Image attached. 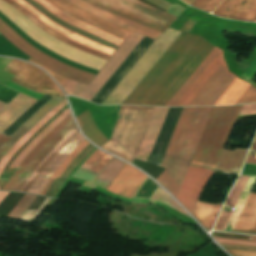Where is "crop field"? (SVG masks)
<instances>
[{
    "label": "crop field",
    "mask_w": 256,
    "mask_h": 256,
    "mask_svg": "<svg viewBox=\"0 0 256 256\" xmlns=\"http://www.w3.org/2000/svg\"><path fill=\"white\" fill-rule=\"evenodd\" d=\"M214 47L182 32L123 104L166 106Z\"/></svg>",
    "instance_id": "8a807250"
},
{
    "label": "crop field",
    "mask_w": 256,
    "mask_h": 256,
    "mask_svg": "<svg viewBox=\"0 0 256 256\" xmlns=\"http://www.w3.org/2000/svg\"><path fill=\"white\" fill-rule=\"evenodd\" d=\"M213 107L184 108L161 167L167 168L156 180L176 197L186 170Z\"/></svg>",
    "instance_id": "ac0d7876"
},
{
    "label": "crop field",
    "mask_w": 256,
    "mask_h": 256,
    "mask_svg": "<svg viewBox=\"0 0 256 256\" xmlns=\"http://www.w3.org/2000/svg\"><path fill=\"white\" fill-rule=\"evenodd\" d=\"M236 78L215 47L167 106L214 105Z\"/></svg>",
    "instance_id": "34b2d1b8"
},
{
    "label": "crop field",
    "mask_w": 256,
    "mask_h": 256,
    "mask_svg": "<svg viewBox=\"0 0 256 256\" xmlns=\"http://www.w3.org/2000/svg\"><path fill=\"white\" fill-rule=\"evenodd\" d=\"M242 105L214 107L192 160L217 165L227 136ZM256 114V105H243L239 115ZM192 161V165L215 169V165Z\"/></svg>",
    "instance_id": "412701ff"
},
{
    "label": "crop field",
    "mask_w": 256,
    "mask_h": 256,
    "mask_svg": "<svg viewBox=\"0 0 256 256\" xmlns=\"http://www.w3.org/2000/svg\"><path fill=\"white\" fill-rule=\"evenodd\" d=\"M154 107L121 106L110 140L101 148L132 163Z\"/></svg>",
    "instance_id": "f4fd0767"
},
{
    "label": "crop field",
    "mask_w": 256,
    "mask_h": 256,
    "mask_svg": "<svg viewBox=\"0 0 256 256\" xmlns=\"http://www.w3.org/2000/svg\"><path fill=\"white\" fill-rule=\"evenodd\" d=\"M0 12L34 41L78 64L100 70L107 62L53 38L3 0H0Z\"/></svg>",
    "instance_id": "dd49c442"
},
{
    "label": "crop field",
    "mask_w": 256,
    "mask_h": 256,
    "mask_svg": "<svg viewBox=\"0 0 256 256\" xmlns=\"http://www.w3.org/2000/svg\"><path fill=\"white\" fill-rule=\"evenodd\" d=\"M94 6L163 32L176 19L139 0H84Z\"/></svg>",
    "instance_id": "e52e79f7"
},
{
    "label": "crop field",
    "mask_w": 256,
    "mask_h": 256,
    "mask_svg": "<svg viewBox=\"0 0 256 256\" xmlns=\"http://www.w3.org/2000/svg\"><path fill=\"white\" fill-rule=\"evenodd\" d=\"M142 38L143 36L133 32L110 58L106 65L99 71L89 86L69 80L63 87L66 94L91 101L127 56L132 52V50L137 46V44L142 40Z\"/></svg>",
    "instance_id": "d8731c3e"
},
{
    "label": "crop field",
    "mask_w": 256,
    "mask_h": 256,
    "mask_svg": "<svg viewBox=\"0 0 256 256\" xmlns=\"http://www.w3.org/2000/svg\"><path fill=\"white\" fill-rule=\"evenodd\" d=\"M0 33L14 46L20 49L29 57L38 61L45 67L53 70L54 72L71 78L75 81L89 85L92 79L95 77L94 74H89L82 72L80 70L74 69L64 63H61L48 55L38 51L29 43L24 41L13 29H11L5 22L0 19Z\"/></svg>",
    "instance_id": "5a996713"
},
{
    "label": "crop field",
    "mask_w": 256,
    "mask_h": 256,
    "mask_svg": "<svg viewBox=\"0 0 256 256\" xmlns=\"http://www.w3.org/2000/svg\"><path fill=\"white\" fill-rule=\"evenodd\" d=\"M76 132H78V130L72 120L59 134L50 140L29 163L15 186L12 188V191L26 192L46 164Z\"/></svg>",
    "instance_id": "3316defc"
},
{
    "label": "crop field",
    "mask_w": 256,
    "mask_h": 256,
    "mask_svg": "<svg viewBox=\"0 0 256 256\" xmlns=\"http://www.w3.org/2000/svg\"><path fill=\"white\" fill-rule=\"evenodd\" d=\"M220 1L221 0H196L193 6L210 12ZM213 13L227 18L253 22L256 16V0H224Z\"/></svg>",
    "instance_id": "28ad6ade"
},
{
    "label": "crop field",
    "mask_w": 256,
    "mask_h": 256,
    "mask_svg": "<svg viewBox=\"0 0 256 256\" xmlns=\"http://www.w3.org/2000/svg\"><path fill=\"white\" fill-rule=\"evenodd\" d=\"M213 170L190 165L176 199L192 214L198 197Z\"/></svg>",
    "instance_id": "d1516ede"
},
{
    "label": "crop field",
    "mask_w": 256,
    "mask_h": 256,
    "mask_svg": "<svg viewBox=\"0 0 256 256\" xmlns=\"http://www.w3.org/2000/svg\"><path fill=\"white\" fill-rule=\"evenodd\" d=\"M15 2L16 4L20 5L22 8H24L28 13H30L34 18H36L40 23H42L44 26L54 30L55 32L59 33L60 35L79 43L83 46H86L90 49L102 52L104 54L112 56L115 50L108 48L102 44H99L95 41H92L88 38H85L81 35H78L65 27L59 25L58 23L52 21L48 17H46L44 14H42L39 10H37L34 6L30 5L24 0H11Z\"/></svg>",
    "instance_id": "22f410ed"
},
{
    "label": "crop field",
    "mask_w": 256,
    "mask_h": 256,
    "mask_svg": "<svg viewBox=\"0 0 256 256\" xmlns=\"http://www.w3.org/2000/svg\"><path fill=\"white\" fill-rule=\"evenodd\" d=\"M36 3H38L40 6H42L44 9H46L48 12L52 13L53 15H55L56 17L64 20L65 22L78 27L94 36H97L105 41H108L116 46H120L124 39L115 36L109 32H106L104 30H101L97 27H94L76 17H73L69 14H67L66 12H64L63 10L57 8L55 5H53L52 3L48 2L47 0H34Z\"/></svg>",
    "instance_id": "cbeb9de0"
},
{
    "label": "crop field",
    "mask_w": 256,
    "mask_h": 256,
    "mask_svg": "<svg viewBox=\"0 0 256 256\" xmlns=\"http://www.w3.org/2000/svg\"><path fill=\"white\" fill-rule=\"evenodd\" d=\"M146 177L135 168L126 164L111 182L107 191L132 198Z\"/></svg>",
    "instance_id": "5142ce71"
},
{
    "label": "crop field",
    "mask_w": 256,
    "mask_h": 256,
    "mask_svg": "<svg viewBox=\"0 0 256 256\" xmlns=\"http://www.w3.org/2000/svg\"><path fill=\"white\" fill-rule=\"evenodd\" d=\"M67 1L86 10L90 14L96 15L104 20L118 24V25L123 26L127 29H130L132 31H135L140 34L151 37L153 39H155L157 36H159L161 34V32H159V31L145 27L143 25H140L138 23H135L133 21H130L128 19H125V18L115 15L113 13H110L108 11H105L101 8L93 7L82 0H67Z\"/></svg>",
    "instance_id": "d9b57169"
},
{
    "label": "crop field",
    "mask_w": 256,
    "mask_h": 256,
    "mask_svg": "<svg viewBox=\"0 0 256 256\" xmlns=\"http://www.w3.org/2000/svg\"><path fill=\"white\" fill-rule=\"evenodd\" d=\"M3 70L15 75L11 81L32 91H34L42 78L46 75L41 70L23 61L17 60H13Z\"/></svg>",
    "instance_id": "733c2abd"
},
{
    "label": "crop field",
    "mask_w": 256,
    "mask_h": 256,
    "mask_svg": "<svg viewBox=\"0 0 256 256\" xmlns=\"http://www.w3.org/2000/svg\"><path fill=\"white\" fill-rule=\"evenodd\" d=\"M84 138L79 134L74 136L69 142L57 153V155L50 161V163L44 168L41 174L37 177L34 183L28 190L29 193L39 194L43 187L48 182L51 175L65 159V157L83 140Z\"/></svg>",
    "instance_id": "4a817a6b"
},
{
    "label": "crop field",
    "mask_w": 256,
    "mask_h": 256,
    "mask_svg": "<svg viewBox=\"0 0 256 256\" xmlns=\"http://www.w3.org/2000/svg\"><path fill=\"white\" fill-rule=\"evenodd\" d=\"M49 1H51L53 4H55L57 7L61 8V9H63L64 11H66L82 20H85L99 28L109 31L115 35H118L124 39H126L132 33V31H130V30H127L118 25L109 23V22L101 20L93 15H90L87 12L73 6L72 4L68 3L65 0H49Z\"/></svg>",
    "instance_id": "bc2a9ffb"
},
{
    "label": "crop field",
    "mask_w": 256,
    "mask_h": 256,
    "mask_svg": "<svg viewBox=\"0 0 256 256\" xmlns=\"http://www.w3.org/2000/svg\"><path fill=\"white\" fill-rule=\"evenodd\" d=\"M63 99L58 97H53L45 105H43L24 125H22L14 134L7 138L0 135V161L6 154V152L23 136L25 135L31 127L41 120L50 110H52L59 102Z\"/></svg>",
    "instance_id": "214f88e0"
},
{
    "label": "crop field",
    "mask_w": 256,
    "mask_h": 256,
    "mask_svg": "<svg viewBox=\"0 0 256 256\" xmlns=\"http://www.w3.org/2000/svg\"><path fill=\"white\" fill-rule=\"evenodd\" d=\"M169 108L155 107L151 122L148 126V129L145 133L139 151L136 155V159L146 161L153 144L157 138V135L160 131V128L164 122L167 111Z\"/></svg>",
    "instance_id": "92a150f3"
},
{
    "label": "crop field",
    "mask_w": 256,
    "mask_h": 256,
    "mask_svg": "<svg viewBox=\"0 0 256 256\" xmlns=\"http://www.w3.org/2000/svg\"><path fill=\"white\" fill-rule=\"evenodd\" d=\"M36 100L19 94L7 106L0 102V133L20 117Z\"/></svg>",
    "instance_id": "dafd665d"
},
{
    "label": "crop field",
    "mask_w": 256,
    "mask_h": 256,
    "mask_svg": "<svg viewBox=\"0 0 256 256\" xmlns=\"http://www.w3.org/2000/svg\"><path fill=\"white\" fill-rule=\"evenodd\" d=\"M232 231L256 233V193H250Z\"/></svg>",
    "instance_id": "00972430"
},
{
    "label": "crop field",
    "mask_w": 256,
    "mask_h": 256,
    "mask_svg": "<svg viewBox=\"0 0 256 256\" xmlns=\"http://www.w3.org/2000/svg\"><path fill=\"white\" fill-rule=\"evenodd\" d=\"M72 120L70 114L57 126L55 127L47 136H45L35 147L34 149L24 158L21 165L16 169L13 176L3 188V190H11L13 185L18 180L24 168L28 165V163L35 157V155L43 148V146L53 137L55 136L65 125H67Z\"/></svg>",
    "instance_id": "a9b5d70f"
},
{
    "label": "crop field",
    "mask_w": 256,
    "mask_h": 256,
    "mask_svg": "<svg viewBox=\"0 0 256 256\" xmlns=\"http://www.w3.org/2000/svg\"><path fill=\"white\" fill-rule=\"evenodd\" d=\"M247 150L235 149L232 152L224 149L216 169L239 174Z\"/></svg>",
    "instance_id": "4177f3b9"
},
{
    "label": "crop field",
    "mask_w": 256,
    "mask_h": 256,
    "mask_svg": "<svg viewBox=\"0 0 256 256\" xmlns=\"http://www.w3.org/2000/svg\"><path fill=\"white\" fill-rule=\"evenodd\" d=\"M222 204L212 205L198 202L192 215L209 231L215 222Z\"/></svg>",
    "instance_id": "730fd06b"
},
{
    "label": "crop field",
    "mask_w": 256,
    "mask_h": 256,
    "mask_svg": "<svg viewBox=\"0 0 256 256\" xmlns=\"http://www.w3.org/2000/svg\"><path fill=\"white\" fill-rule=\"evenodd\" d=\"M83 133L86 135V137L91 140L93 143L97 145H102L106 141H108L102 133L98 130V128L95 126L90 112L87 110L78 117H76Z\"/></svg>",
    "instance_id": "eef30255"
},
{
    "label": "crop field",
    "mask_w": 256,
    "mask_h": 256,
    "mask_svg": "<svg viewBox=\"0 0 256 256\" xmlns=\"http://www.w3.org/2000/svg\"><path fill=\"white\" fill-rule=\"evenodd\" d=\"M65 99L58 104L52 111H50L40 122L32 127V129L16 144L14 145L5 155L0 163V173L5 167L12 155L42 126L44 125L53 115H55L62 107L66 105Z\"/></svg>",
    "instance_id": "ae1a2a85"
},
{
    "label": "crop field",
    "mask_w": 256,
    "mask_h": 256,
    "mask_svg": "<svg viewBox=\"0 0 256 256\" xmlns=\"http://www.w3.org/2000/svg\"><path fill=\"white\" fill-rule=\"evenodd\" d=\"M125 164L126 163L113 157L112 160L106 165V167L94 179L93 183L106 189L112 179L117 175V173Z\"/></svg>",
    "instance_id": "d3111659"
},
{
    "label": "crop field",
    "mask_w": 256,
    "mask_h": 256,
    "mask_svg": "<svg viewBox=\"0 0 256 256\" xmlns=\"http://www.w3.org/2000/svg\"><path fill=\"white\" fill-rule=\"evenodd\" d=\"M69 109L65 110L60 116H58L51 124H49L12 162L10 168H17L23 158L32 150V148L46 135L48 134L58 123H60L68 114Z\"/></svg>",
    "instance_id": "750c4746"
},
{
    "label": "crop field",
    "mask_w": 256,
    "mask_h": 256,
    "mask_svg": "<svg viewBox=\"0 0 256 256\" xmlns=\"http://www.w3.org/2000/svg\"><path fill=\"white\" fill-rule=\"evenodd\" d=\"M6 1L7 3L11 4L14 8H16L19 12H21L23 15H25L27 18H29L31 21H33L35 24H37L40 28H42L44 31L48 32L49 34L55 36L56 38H58L59 40L67 43V44H70L78 49H81L89 54H93V55H96L98 57H101V58H104V59H107L109 60L110 56H107V55H104L102 53H99V52H96V51H93V50H90V49H87V48H84L72 41H69L67 39H65L64 37L60 36L59 34L49 30L48 28L44 27L42 24H40L37 20H35L31 15H29L25 10H23L20 6L16 5L15 3L11 2L10 0H4Z\"/></svg>",
    "instance_id": "bd1437ed"
},
{
    "label": "crop field",
    "mask_w": 256,
    "mask_h": 256,
    "mask_svg": "<svg viewBox=\"0 0 256 256\" xmlns=\"http://www.w3.org/2000/svg\"><path fill=\"white\" fill-rule=\"evenodd\" d=\"M249 84L236 79L235 82L229 87V89L223 94V96L217 101L215 105H230L235 104L238 98L248 88Z\"/></svg>",
    "instance_id": "1d83c4d3"
},
{
    "label": "crop field",
    "mask_w": 256,
    "mask_h": 256,
    "mask_svg": "<svg viewBox=\"0 0 256 256\" xmlns=\"http://www.w3.org/2000/svg\"><path fill=\"white\" fill-rule=\"evenodd\" d=\"M109 160L110 158L95 151L84 162L80 169L97 175Z\"/></svg>",
    "instance_id": "120bbe31"
},
{
    "label": "crop field",
    "mask_w": 256,
    "mask_h": 256,
    "mask_svg": "<svg viewBox=\"0 0 256 256\" xmlns=\"http://www.w3.org/2000/svg\"><path fill=\"white\" fill-rule=\"evenodd\" d=\"M89 143L84 139L68 156L67 158L62 162V164L58 167V169L55 171V173L52 175L50 181L47 183V185L44 187V189L41 191V195H44V193L47 191L49 186L52 184V182L55 180L56 177H60V175L64 172V170L68 167V165L71 163V161L88 145Z\"/></svg>",
    "instance_id": "d32e631a"
},
{
    "label": "crop field",
    "mask_w": 256,
    "mask_h": 256,
    "mask_svg": "<svg viewBox=\"0 0 256 256\" xmlns=\"http://www.w3.org/2000/svg\"><path fill=\"white\" fill-rule=\"evenodd\" d=\"M26 1L29 2V3H31L32 5H34L37 9H39L42 13H44L45 15H47L49 18H51L52 20H54V21L58 22L59 24L65 26L66 28H68V29H70V30H72V31H74V32H76V33H78V34H81V35H83V36H85V37H88V38H90V39H93V40H95V41H97V42H100V43H102V44H104V45H106V46H109V47H111V48H113V49H115V50L118 49V47H116V46H114V45H112V44H110V43H107V42H105V41H103V40H101V39H99V38H97V37H94V36H92V35H90V34L84 32V31H82V30H80V29H78V28H75V27H73V26H71V25L65 23L64 21H62V20L56 18L55 16L51 15V14L48 13L46 10H44L42 7H40L38 4H36L34 1H32V0H26Z\"/></svg>",
    "instance_id": "5866460e"
},
{
    "label": "crop field",
    "mask_w": 256,
    "mask_h": 256,
    "mask_svg": "<svg viewBox=\"0 0 256 256\" xmlns=\"http://www.w3.org/2000/svg\"><path fill=\"white\" fill-rule=\"evenodd\" d=\"M36 92L64 98L59 87L47 75L37 87Z\"/></svg>",
    "instance_id": "028f5c9d"
},
{
    "label": "crop field",
    "mask_w": 256,
    "mask_h": 256,
    "mask_svg": "<svg viewBox=\"0 0 256 256\" xmlns=\"http://www.w3.org/2000/svg\"><path fill=\"white\" fill-rule=\"evenodd\" d=\"M161 188V187H160ZM158 187L157 191L152 197V200L161 202L163 204L168 205L169 207L180 211L181 213L189 216L166 192ZM190 217V216H189Z\"/></svg>",
    "instance_id": "e1f06a70"
},
{
    "label": "crop field",
    "mask_w": 256,
    "mask_h": 256,
    "mask_svg": "<svg viewBox=\"0 0 256 256\" xmlns=\"http://www.w3.org/2000/svg\"><path fill=\"white\" fill-rule=\"evenodd\" d=\"M35 197L34 195L25 194L8 216L19 219Z\"/></svg>",
    "instance_id": "0bd39190"
},
{
    "label": "crop field",
    "mask_w": 256,
    "mask_h": 256,
    "mask_svg": "<svg viewBox=\"0 0 256 256\" xmlns=\"http://www.w3.org/2000/svg\"><path fill=\"white\" fill-rule=\"evenodd\" d=\"M248 176H240L225 204L233 206Z\"/></svg>",
    "instance_id": "b80d0937"
},
{
    "label": "crop field",
    "mask_w": 256,
    "mask_h": 256,
    "mask_svg": "<svg viewBox=\"0 0 256 256\" xmlns=\"http://www.w3.org/2000/svg\"><path fill=\"white\" fill-rule=\"evenodd\" d=\"M244 103H256V88L252 87L251 85L241 96V98L237 101L236 104Z\"/></svg>",
    "instance_id": "c035e120"
},
{
    "label": "crop field",
    "mask_w": 256,
    "mask_h": 256,
    "mask_svg": "<svg viewBox=\"0 0 256 256\" xmlns=\"http://www.w3.org/2000/svg\"><path fill=\"white\" fill-rule=\"evenodd\" d=\"M214 238H215L219 243L256 247V242H255V241H245V240H236V239H227V238H217V237H214Z\"/></svg>",
    "instance_id": "c21b1889"
},
{
    "label": "crop field",
    "mask_w": 256,
    "mask_h": 256,
    "mask_svg": "<svg viewBox=\"0 0 256 256\" xmlns=\"http://www.w3.org/2000/svg\"><path fill=\"white\" fill-rule=\"evenodd\" d=\"M6 86H8L10 88H13V89H15L17 91H20V92H22L24 94H27V95H29V96L37 99V100H39L43 96V94L32 92V91H30L28 89H25V88H23V87H21L19 85H16V84L12 83L10 81L6 84Z\"/></svg>",
    "instance_id": "03da06ac"
},
{
    "label": "crop field",
    "mask_w": 256,
    "mask_h": 256,
    "mask_svg": "<svg viewBox=\"0 0 256 256\" xmlns=\"http://www.w3.org/2000/svg\"><path fill=\"white\" fill-rule=\"evenodd\" d=\"M28 61H31V62H33V63H35V64H37V65L43 67L45 70H47V71L57 80V82H58L62 87H63L64 84L67 82L68 79H66V78H64V77H62V76H60V75H58V74H56V73H54V72L48 70L47 68H45V67L42 66L41 64L37 63L36 61L32 60L31 58L28 59Z\"/></svg>",
    "instance_id": "b54c1fbb"
},
{
    "label": "crop field",
    "mask_w": 256,
    "mask_h": 256,
    "mask_svg": "<svg viewBox=\"0 0 256 256\" xmlns=\"http://www.w3.org/2000/svg\"><path fill=\"white\" fill-rule=\"evenodd\" d=\"M255 73H256V56L254 57L247 71L243 75L250 80Z\"/></svg>",
    "instance_id": "5d738f31"
},
{
    "label": "crop field",
    "mask_w": 256,
    "mask_h": 256,
    "mask_svg": "<svg viewBox=\"0 0 256 256\" xmlns=\"http://www.w3.org/2000/svg\"><path fill=\"white\" fill-rule=\"evenodd\" d=\"M229 213H226V212H222L215 227H214V230H221L227 217H228Z\"/></svg>",
    "instance_id": "d23c7cc5"
},
{
    "label": "crop field",
    "mask_w": 256,
    "mask_h": 256,
    "mask_svg": "<svg viewBox=\"0 0 256 256\" xmlns=\"http://www.w3.org/2000/svg\"><path fill=\"white\" fill-rule=\"evenodd\" d=\"M232 256H256V252L229 250L226 249Z\"/></svg>",
    "instance_id": "425ffa30"
},
{
    "label": "crop field",
    "mask_w": 256,
    "mask_h": 256,
    "mask_svg": "<svg viewBox=\"0 0 256 256\" xmlns=\"http://www.w3.org/2000/svg\"><path fill=\"white\" fill-rule=\"evenodd\" d=\"M250 149L256 150V137ZM245 163L256 164V156L248 155Z\"/></svg>",
    "instance_id": "25e5ab78"
},
{
    "label": "crop field",
    "mask_w": 256,
    "mask_h": 256,
    "mask_svg": "<svg viewBox=\"0 0 256 256\" xmlns=\"http://www.w3.org/2000/svg\"><path fill=\"white\" fill-rule=\"evenodd\" d=\"M8 193L0 192V202L6 197Z\"/></svg>",
    "instance_id": "73cf0c24"
},
{
    "label": "crop field",
    "mask_w": 256,
    "mask_h": 256,
    "mask_svg": "<svg viewBox=\"0 0 256 256\" xmlns=\"http://www.w3.org/2000/svg\"><path fill=\"white\" fill-rule=\"evenodd\" d=\"M183 1L190 5L194 0H183Z\"/></svg>",
    "instance_id": "89e229c0"
},
{
    "label": "crop field",
    "mask_w": 256,
    "mask_h": 256,
    "mask_svg": "<svg viewBox=\"0 0 256 256\" xmlns=\"http://www.w3.org/2000/svg\"><path fill=\"white\" fill-rule=\"evenodd\" d=\"M250 240H255L256 241V236L255 235H251Z\"/></svg>",
    "instance_id": "1f2cbd36"
},
{
    "label": "crop field",
    "mask_w": 256,
    "mask_h": 256,
    "mask_svg": "<svg viewBox=\"0 0 256 256\" xmlns=\"http://www.w3.org/2000/svg\"><path fill=\"white\" fill-rule=\"evenodd\" d=\"M254 22H256V19H255V21Z\"/></svg>",
    "instance_id": "dbb93151"
}]
</instances>
